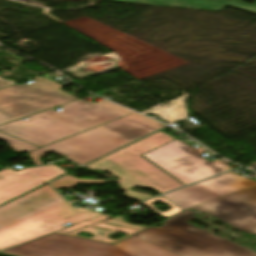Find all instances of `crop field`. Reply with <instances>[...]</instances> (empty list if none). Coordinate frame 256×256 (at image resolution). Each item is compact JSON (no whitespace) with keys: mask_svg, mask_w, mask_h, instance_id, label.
<instances>
[{"mask_svg":"<svg viewBox=\"0 0 256 256\" xmlns=\"http://www.w3.org/2000/svg\"><path fill=\"white\" fill-rule=\"evenodd\" d=\"M185 211L116 245L52 233L4 250L18 256H256V252L187 224Z\"/></svg>","mask_w":256,"mask_h":256,"instance_id":"obj_1","label":"crop field"},{"mask_svg":"<svg viewBox=\"0 0 256 256\" xmlns=\"http://www.w3.org/2000/svg\"><path fill=\"white\" fill-rule=\"evenodd\" d=\"M98 212L69 205L48 185L0 206V251L98 217Z\"/></svg>","mask_w":256,"mask_h":256,"instance_id":"obj_2","label":"crop field"},{"mask_svg":"<svg viewBox=\"0 0 256 256\" xmlns=\"http://www.w3.org/2000/svg\"><path fill=\"white\" fill-rule=\"evenodd\" d=\"M173 139L175 138L159 131L84 167L85 169L109 171L113 176L120 178L119 180L77 179L68 175L56 182L53 181L54 183L50 185L55 189H60L75 187L76 183L117 182L119 189L125 191L122 196L139 202L153 196L131 191L130 187L151 188L160 194L169 192L183 185L140 155Z\"/></svg>","mask_w":256,"mask_h":256,"instance_id":"obj_3","label":"crop field"},{"mask_svg":"<svg viewBox=\"0 0 256 256\" xmlns=\"http://www.w3.org/2000/svg\"><path fill=\"white\" fill-rule=\"evenodd\" d=\"M28 117L0 127V131L38 146L93 128L132 113V111L101 100L97 103L82 100Z\"/></svg>","mask_w":256,"mask_h":256,"instance_id":"obj_4","label":"crop field"},{"mask_svg":"<svg viewBox=\"0 0 256 256\" xmlns=\"http://www.w3.org/2000/svg\"><path fill=\"white\" fill-rule=\"evenodd\" d=\"M165 125L132 113L109 123L87 130L65 140L31 152L36 165L38 157L55 152L78 163L87 164L123 145L156 131Z\"/></svg>","mask_w":256,"mask_h":256,"instance_id":"obj_5","label":"crop field"},{"mask_svg":"<svg viewBox=\"0 0 256 256\" xmlns=\"http://www.w3.org/2000/svg\"><path fill=\"white\" fill-rule=\"evenodd\" d=\"M34 81L0 90V124L78 99L60 90V84L45 78Z\"/></svg>","mask_w":256,"mask_h":256,"instance_id":"obj_6","label":"crop field"},{"mask_svg":"<svg viewBox=\"0 0 256 256\" xmlns=\"http://www.w3.org/2000/svg\"><path fill=\"white\" fill-rule=\"evenodd\" d=\"M204 152L175 139L143 156L185 185L232 169L219 160L203 159L199 154Z\"/></svg>","mask_w":256,"mask_h":256,"instance_id":"obj_7","label":"crop field"},{"mask_svg":"<svg viewBox=\"0 0 256 256\" xmlns=\"http://www.w3.org/2000/svg\"><path fill=\"white\" fill-rule=\"evenodd\" d=\"M248 234H256V186L191 208Z\"/></svg>","mask_w":256,"mask_h":256,"instance_id":"obj_8","label":"crop field"},{"mask_svg":"<svg viewBox=\"0 0 256 256\" xmlns=\"http://www.w3.org/2000/svg\"><path fill=\"white\" fill-rule=\"evenodd\" d=\"M255 184L256 182L250 179L228 172L165 194L163 197L184 210L191 205L201 204Z\"/></svg>","mask_w":256,"mask_h":256,"instance_id":"obj_9","label":"crop field"},{"mask_svg":"<svg viewBox=\"0 0 256 256\" xmlns=\"http://www.w3.org/2000/svg\"><path fill=\"white\" fill-rule=\"evenodd\" d=\"M68 173L52 164L26 168L0 177V204Z\"/></svg>","mask_w":256,"mask_h":256,"instance_id":"obj_10","label":"crop field"},{"mask_svg":"<svg viewBox=\"0 0 256 256\" xmlns=\"http://www.w3.org/2000/svg\"><path fill=\"white\" fill-rule=\"evenodd\" d=\"M112 217L113 216L103 215V216H100L98 218L92 219L90 221H87V222H84L81 224L78 223L79 225L62 229L56 233L75 236L74 234H76V233L86 231L88 233L95 235V237H93V238L81 237V238H86V239H91V240H96V241H101V242L112 244L114 242H117V241L123 239V238H121L119 240H114V239L107 238L109 235H111L112 233H114L116 231L129 236L137 231H140V230L146 228L145 226H137V225H131V224L127 223L123 216L107 220ZM105 220H107V221H105ZM100 221H104V222L101 223ZM92 224H94V225L91 226ZM85 226H87V228H84ZM76 237H79V236H76Z\"/></svg>","mask_w":256,"mask_h":256,"instance_id":"obj_11","label":"crop field"},{"mask_svg":"<svg viewBox=\"0 0 256 256\" xmlns=\"http://www.w3.org/2000/svg\"><path fill=\"white\" fill-rule=\"evenodd\" d=\"M180 8L222 10L228 0H112Z\"/></svg>","mask_w":256,"mask_h":256,"instance_id":"obj_12","label":"crop field"},{"mask_svg":"<svg viewBox=\"0 0 256 256\" xmlns=\"http://www.w3.org/2000/svg\"><path fill=\"white\" fill-rule=\"evenodd\" d=\"M163 201L165 202L166 204L170 205V209L165 211V212H162L160 210H157L155 209L154 207V203L157 202V201ZM143 205H145L146 207L150 208L151 210L157 212L158 214L164 216V217H170L180 211H182V209H180L179 207H177L176 205H174L173 203L169 202L168 200H166L165 198H163L162 196L161 197H158V198H155V199H152V200H148V201H145L143 203H141Z\"/></svg>","mask_w":256,"mask_h":256,"instance_id":"obj_13","label":"crop field"},{"mask_svg":"<svg viewBox=\"0 0 256 256\" xmlns=\"http://www.w3.org/2000/svg\"><path fill=\"white\" fill-rule=\"evenodd\" d=\"M0 140L6 141L15 152H27L37 147L0 132Z\"/></svg>","mask_w":256,"mask_h":256,"instance_id":"obj_14","label":"crop field"},{"mask_svg":"<svg viewBox=\"0 0 256 256\" xmlns=\"http://www.w3.org/2000/svg\"><path fill=\"white\" fill-rule=\"evenodd\" d=\"M227 5L235 6L238 8H242L245 10L253 11L256 12V5H251V4H244L240 2H235V1H228Z\"/></svg>","mask_w":256,"mask_h":256,"instance_id":"obj_15","label":"crop field"},{"mask_svg":"<svg viewBox=\"0 0 256 256\" xmlns=\"http://www.w3.org/2000/svg\"><path fill=\"white\" fill-rule=\"evenodd\" d=\"M16 82L12 81L11 79L9 78H1L0 77V89L1 88H4L6 86H9V85H12V84H15Z\"/></svg>","mask_w":256,"mask_h":256,"instance_id":"obj_16","label":"crop field"},{"mask_svg":"<svg viewBox=\"0 0 256 256\" xmlns=\"http://www.w3.org/2000/svg\"><path fill=\"white\" fill-rule=\"evenodd\" d=\"M12 74H14V73L5 70V71H3V72L0 73V76H1V77H8V76H10V75H12Z\"/></svg>","mask_w":256,"mask_h":256,"instance_id":"obj_17","label":"crop field"},{"mask_svg":"<svg viewBox=\"0 0 256 256\" xmlns=\"http://www.w3.org/2000/svg\"><path fill=\"white\" fill-rule=\"evenodd\" d=\"M11 171H13V170H9V169L2 170V171H0V176L6 174L8 172H11Z\"/></svg>","mask_w":256,"mask_h":256,"instance_id":"obj_18","label":"crop field"},{"mask_svg":"<svg viewBox=\"0 0 256 256\" xmlns=\"http://www.w3.org/2000/svg\"><path fill=\"white\" fill-rule=\"evenodd\" d=\"M1 254V253H0ZM1 255H5V256H12V255H7V254H1Z\"/></svg>","mask_w":256,"mask_h":256,"instance_id":"obj_19","label":"crop field"},{"mask_svg":"<svg viewBox=\"0 0 256 256\" xmlns=\"http://www.w3.org/2000/svg\"><path fill=\"white\" fill-rule=\"evenodd\" d=\"M254 3H256V1Z\"/></svg>","mask_w":256,"mask_h":256,"instance_id":"obj_20","label":"crop field"}]
</instances>
